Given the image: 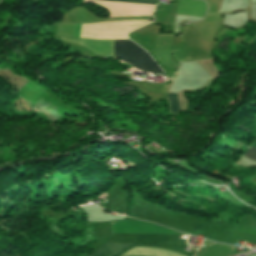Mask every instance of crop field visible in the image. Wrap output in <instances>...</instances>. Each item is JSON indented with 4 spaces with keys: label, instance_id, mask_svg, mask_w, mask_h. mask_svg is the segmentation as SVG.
Returning <instances> with one entry per match:
<instances>
[{
    "label": "crop field",
    "instance_id": "8a807250",
    "mask_svg": "<svg viewBox=\"0 0 256 256\" xmlns=\"http://www.w3.org/2000/svg\"><path fill=\"white\" fill-rule=\"evenodd\" d=\"M176 235L112 234L108 242L173 243ZM131 244L105 243L90 256H113Z\"/></svg>",
    "mask_w": 256,
    "mask_h": 256
},
{
    "label": "crop field",
    "instance_id": "dd49c442",
    "mask_svg": "<svg viewBox=\"0 0 256 256\" xmlns=\"http://www.w3.org/2000/svg\"><path fill=\"white\" fill-rule=\"evenodd\" d=\"M244 156L256 161V148L252 146L251 149L244 154Z\"/></svg>",
    "mask_w": 256,
    "mask_h": 256
},
{
    "label": "crop field",
    "instance_id": "34b2d1b8",
    "mask_svg": "<svg viewBox=\"0 0 256 256\" xmlns=\"http://www.w3.org/2000/svg\"><path fill=\"white\" fill-rule=\"evenodd\" d=\"M176 14L205 15L206 3L196 0H178Z\"/></svg>",
    "mask_w": 256,
    "mask_h": 256
},
{
    "label": "crop field",
    "instance_id": "412701ff",
    "mask_svg": "<svg viewBox=\"0 0 256 256\" xmlns=\"http://www.w3.org/2000/svg\"><path fill=\"white\" fill-rule=\"evenodd\" d=\"M121 256H183L168 250L148 247H133Z\"/></svg>",
    "mask_w": 256,
    "mask_h": 256
},
{
    "label": "crop field",
    "instance_id": "d8731c3e",
    "mask_svg": "<svg viewBox=\"0 0 256 256\" xmlns=\"http://www.w3.org/2000/svg\"><path fill=\"white\" fill-rule=\"evenodd\" d=\"M108 1H115V0H108Z\"/></svg>",
    "mask_w": 256,
    "mask_h": 256
},
{
    "label": "crop field",
    "instance_id": "f4fd0767",
    "mask_svg": "<svg viewBox=\"0 0 256 256\" xmlns=\"http://www.w3.org/2000/svg\"><path fill=\"white\" fill-rule=\"evenodd\" d=\"M168 98H169L171 110L176 112V113L179 112L180 108H179L176 93H168Z\"/></svg>",
    "mask_w": 256,
    "mask_h": 256
},
{
    "label": "crop field",
    "instance_id": "e52e79f7",
    "mask_svg": "<svg viewBox=\"0 0 256 256\" xmlns=\"http://www.w3.org/2000/svg\"><path fill=\"white\" fill-rule=\"evenodd\" d=\"M116 1L136 2V3H149V4H155V2H156V1H148V0H116Z\"/></svg>",
    "mask_w": 256,
    "mask_h": 256
},
{
    "label": "crop field",
    "instance_id": "ac0d7876",
    "mask_svg": "<svg viewBox=\"0 0 256 256\" xmlns=\"http://www.w3.org/2000/svg\"><path fill=\"white\" fill-rule=\"evenodd\" d=\"M115 56L137 69L165 74L144 50L130 40H115Z\"/></svg>",
    "mask_w": 256,
    "mask_h": 256
}]
</instances>
